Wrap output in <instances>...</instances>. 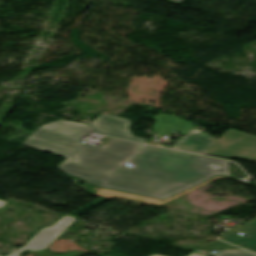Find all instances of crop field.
Returning a JSON list of instances; mask_svg holds the SVG:
<instances>
[{"label": "crop field", "instance_id": "obj_1", "mask_svg": "<svg viewBox=\"0 0 256 256\" xmlns=\"http://www.w3.org/2000/svg\"><path fill=\"white\" fill-rule=\"evenodd\" d=\"M95 131L90 126L58 120L37 128L22 145L66 158L57 168L65 174L105 187L160 199L217 174L230 175L229 162L112 138L100 148L80 144Z\"/></svg>", "mask_w": 256, "mask_h": 256}, {"label": "crop field", "instance_id": "obj_2", "mask_svg": "<svg viewBox=\"0 0 256 256\" xmlns=\"http://www.w3.org/2000/svg\"><path fill=\"white\" fill-rule=\"evenodd\" d=\"M207 154L243 160L256 157V138L228 130Z\"/></svg>", "mask_w": 256, "mask_h": 256}, {"label": "crop field", "instance_id": "obj_3", "mask_svg": "<svg viewBox=\"0 0 256 256\" xmlns=\"http://www.w3.org/2000/svg\"><path fill=\"white\" fill-rule=\"evenodd\" d=\"M77 218L64 215L52 228L43 227L26 245L25 248L36 256H75L80 252L70 255H55L44 251L54 242Z\"/></svg>", "mask_w": 256, "mask_h": 256}, {"label": "crop field", "instance_id": "obj_4", "mask_svg": "<svg viewBox=\"0 0 256 256\" xmlns=\"http://www.w3.org/2000/svg\"><path fill=\"white\" fill-rule=\"evenodd\" d=\"M131 121L101 114L91 125L103 135L146 143V139L134 137L129 130Z\"/></svg>", "mask_w": 256, "mask_h": 256}, {"label": "crop field", "instance_id": "obj_5", "mask_svg": "<svg viewBox=\"0 0 256 256\" xmlns=\"http://www.w3.org/2000/svg\"><path fill=\"white\" fill-rule=\"evenodd\" d=\"M218 140L194 128L173 145V149L205 155Z\"/></svg>", "mask_w": 256, "mask_h": 256}, {"label": "crop field", "instance_id": "obj_6", "mask_svg": "<svg viewBox=\"0 0 256 256\" xmlns=\"http://www.w3.org/2000/svg\"><path fill=\"white\" fill-rule=\"evenodd\" d=\"M237 231L247 234V238L242 237L233 232L227 231L221 236V239L229 243L235 244L242 248L256 252V218L245 226L237 229Z\"/></svg>", "mask_w": 256, "mask_h": 256}, {"label": "crop field", "instance_id": "obj_7", "mask_svg": "<svg viewBox=\"0 0 256 256\" xmlns=\"http://www.w3.org/2000/svg\"><path fill=\"white\" fill-rule=\"evenodd\" d=\"M218 178L226 179V177H224V176L215 177V178H213V179H211V180H209V181H207V182H205V183H202V184H200V185H198V186H196V187H194V188H191V189H189V190H187V191H185V192H182V193H180V194H178V195H176V196H174V197H171V198H169V199H167V200H165V201H160V200H154V199H148V198L137 197V196L128 195V194H123V193L114 192V191H109V190H105V189H101V188H100L94 195H96V196H101V197H107V198H111V197H113V196H117V197H121V198H126V199L135 200V201L146 202V203H152V204H155V206H159V205H161V204H163V203H165V202H168V201H170V200H172V199H175V198H177V197H179V196H182V195H184V194H186V193H188V192H190V191H192V190H194V189H196V188H198V187H200V186H202V185H204V184H207V183H209V182H211V181H214V180H216V179H218ZM204 186H205V185H204ZM202 187H203V186H202Z\"/></svg>", "mask_w": 256, "mask_h": 256}, {"label": "crop field", "instance_id": "obj_8", "mask_svg": "<svg viewBox=\"0 0 256 256\" xmlns=\"http://www.w3.org/2000/svg\"><path fill=\"white\" fill-rule=\"evenodd\" d=\"M199 249H239L237 247H234L232 245L226 244L224 242H221L219 240H215L213 242H210L208 244H205L203 246L198 247Z\"/></svg>", "mask_w": 256, "mask_h": 256}, {"label": "crop field", "instance_id": "obj_9", "mask_svg": "<svg viewBox=\"0 0 256 256\" xmlns=\"http://www.w3.org/2000/svg\"><path fill=\"white\" fill-rule=\"evenodd\" d=\"M215 256H256L247 251H220Z\"/></svg>", "mask_w": 256, "mask_h": 256}, {"label": "crop field", "instance_id": "obj_10", "mask_svg": "<svg viewBox=\"0 0 256 256\" xmlns=\"http://www.w3.org/2000/svg\"><path fill=\"white\" fill-rule=\"evenodd\" d=\"M153 256H162V255H158V254H156V255H153ZM188 256H204V255H201V254H198V253H194V252H192L191 254H189Z\"/></svg>", "mask_w": 256, "mask_h": 256}, {"label": "crop field", "instance_id": "obj_11", "mask_svg": "<svg viewBox=\"0 0 256 256\" xmlns=\"http://www.w3.org/2000/svg\"><path fill=\"white\" fill-rule=\"evenodd\" d=\"M7 256H20V254L14 252V253H12V254H10V255H7Z\"/></svg>", "mask_w": 256, "mask_h": 256}, {"label": "crop field", "instance_id": "obj_12", "mask_svg": "<svg viewBox=\"0 0 256 256\" xmlns=\"http://www.w3.org/2000/svg\"><path fill=\"white\" fill-rule=\"evenodd\" d=\"M230 177H233V178H235V179H238V180L244 181V180L239 179V178H237V177H234V176H232V175H230ZM244 182H246V181H244ZM246 183H249V182H246ZM249 184H251V183H249Z\"/></svg>", "mask_w": 256, "mask_h": 256}, {"label": "crop field", "instance_id": "obj_13", "mask_svg": "<svg viewBox=\"0 0 256 256\" xmlns=\"http://www.w3.org/2000/svg\"><path fill=\"white\" fill-rule=\"evenodd\" d=\"M5 204H6V202L0 201V208H1L3 205H5Z\"/></svg>", "mask_w": 256, "mask_h": 256}, {"label": "crop field", "instance_id": "obj_14", "mask_svg": "<svg viewBox=\"0 0 256 256\" xmlns=\"http://www.w3.org/2000/svg\"><path fill=\"white\" fill-rule=\"evenodd\" d=\"M24 250H26L25 248H22V249H20L19 251H17L18 253H20V252H22V251H24Z\"/></svg>", "mask_w": 256, "mask_h": 256}, {"label": "crop field", "instance_id": "obj_15", "mask_svg": "<svg viewBox=\"0 0 256 256\" xmlns=\"http://www.w3.org/2000/svg\"><path fill=\"white\" fill-rule=\"evenodd\" d=\"M173 1H175V2L179 3V2H180V1H182V0H173Z\"/></svg>", "mask_w": 256, "mask_h": 256}]
</instances>
